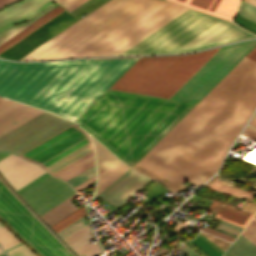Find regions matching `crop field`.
<instances>
[{
    "label": "crop field",
    "instance_id": "obj_32",
    "mask_svg": "<svg viewBox=\"0 0 256 256\" xmlns=\"http://www.w3.org/2000/svg\"><path fill=\"white\" fill-rule=\"evenodd\" d=\"M98 249H100V247L98 246L97 242L93 244L88 242L74 252L77 253L79 256H82V255L90 256L91 254L96 252Z\"/></svg>",
    "mask_w": 256,
    "mask_h": 256
},
{
    "label": "crop field",
    "instance_id": "obj_49",
    "mask_svg": "<svg viewBox=\"0 0 256 256\" xmlns=\"http://www.w3.org/2000/svg\"><path fill=\"white\" fill-rule=\"evenodd\" d=\"M0 226H2V224L0 223Z\"/></svg>",
    "mask_w": 256,
    "mask_h": 256
},
{
    "label": "crop field",
    "instance_id": "obj_25",
    "mask_svg": "<svg viewBox=\"0 0 256 256\" xmlns=\"http://www.w3.org/2000/svg\"><path fill=\"white\" fill-rule=\"evenodd\" d=\"M56 6H58V5L55 4V5L51 6L50 8H48L47 10H45L44 12L37 15L36 17H34L33 19H31L25 23L15 25V26L5 30L4 32L0 33V43H2L3 41H5L9 37H11L18 31H20L21 29L25 28L26 26H28L29 24H31L32 22H34L35 20H37L38 18H40L41 16H43L44 14H46L47 12H49L50 10L55 8Z\"/></svg>",
    "mask_w": 256,
    "mask_h": 256
},
{
    "label": "crop field",
    "instance_id": "obj_12",
    "mask_svg": "<svg viewBox=\"0 0 256 256\" xmlns=\"http://www.w3.org/2000/svg\"><path fill=\"white\" fill-rule=\"evenodd\" d=\"M74 193L67 183L50 176L21 196L40 216Z\"/></svg>",
    "mask_w": 256,
    "mask_h": 256
},
{
    "label": "crop field",
    "instance_id": "obj_43",
    "mask_svg": "<svg viewBox=\"0 0 256 256\" xmlns=\"http://www.w3.org/2000/svg\"><path fill=\"white\" fill-rule=\"evenodd\" d=\"M245 57L256 62V47L253 48Z\"/></svg>",
    "mask_w": 256,
    "mask_h": 256
},
{
    "label": "crop field",
    "instance_id": "obj_46",
    "mask_svg": "<svg viewBox=\"0 0 256 256\" xmlns=\"http://www.w3.org/2000/svg\"><path fill=\"white\" fill-rule=\"evenodd\" d=\"M244 1L256 6V0H244Z\"/></svg>",
    "mask_w": 256,
    "mask_h": 256
},
{
    "label": "crop field",
    "instance_id": "obj_27",
    "mask_svg": "<svg viewBox=\"0 0 256 256\" xmlns=\"http://www.w3.org/2000/svg\"><path fill=\"white\" fill-rule=\"evenodd\" d=\"M20 243V241L12 235L4 226L0 228V244L4 250Z\"/></svg>",
    "mask_w": 256,
    "mask_h": 256
},
{
    "label": "crop field",
    "instance_id": "obj_7",
    "mask_svg": "<svg viewBox=\"0 0 256 256\" xmlns=\"http://www.w3.org/2000/svg\"><path fill=\"white\" fill-rule=\"evenodd\" d=\"M91 152L88 134L72 124L20 156L55 174Z\"/></svg>",
    "mask_w": 256,
    "mask_h": 256
},
{
    "label": "crop field",
    "instance_id": "obj_28",
    "mask_svg": "<svg viewBox=\"0 0 256 256\" xmlns=\"http://www.w3.org/2000/svg\"><path fill=\"white\" fill-rule=\"evenodd\" d=\"M194 245H196L198 248H200L202 251H204L209 256H221L222 254L219 253L216 249H214L211 245H209L206 241H204L201 237L198 235L196 238L192 241Z\"/></svg>",
    "mask_w": 256,
    "mask_h": 256
},
{
    "label": "crop field",
    "instance_id": "obj_34",
    "mask_svg": "<svg viewBox=\"0 0 256 256\" xmlns=\"http://www.w3.org/2000/svg\"><path fill=\"white\" fill-rule=\"evenodd\" d=\"M241 234L256 244V221L251 220Z\"/></svg>",
    "mask_w": 256,
    "mask_h": 256
},
{
    "label": "crop field",
    "instance_id": "obj_21",
    "mask_svg": "<svg viewBox=\"0 0 256 256\" xmlns=\"http://www.w3.org/2000/svg\"><path fill=\"white\" fill-rule=\"evenodd\" d=\"M78 195L77 193L66 199L50 211L46 212L42 216H40L44 221H46L50 226L61 220L71 212L78 209L74 204H72L69 200Z\"/></svg>",
    "mask_w": 256,
    "mask_h": 256
},
{
    "label": "crop field",
    "instance_id": "obj_13",
    "mask_svg": "<svg viewBox=\"0 0 256 256\" xmlns=\"http://www.w3.org/2000/svg\"><path fill=\"white\" fill-rule=\"evenodd\" d=\"M45 172L33 163L26 162L12 154L0 160L1 175L18 190Z\"/></svg>",
    "mask_w": 256,
    "mask_h": 256
},
{
    "label": "crop field",
    "instance_id": "obj_19",
    "mask_svg": "<svg viewBox=\"0 0 256 256\" xmlns=\"http://www.w3.org/2000/svg\"><path fill=\"white\" fill-rule=\"evenodd\" d=\"M62 11H64V10L61 9L59 6L56 7L55 9H53L52 11H50L49 13H47L46 15H44L43 17H41L40 19H38L37 21L32 23L31 25H29L28 27H26L25 29L20 31L19 33H17L16 35H14L10 39H8L7 41L2 43L0 45V52H2L3 50L8 48L15 42H17L18 40H20L27 34L31 33L32 31H34L35 29H37L38 27H40L41 25H43L44 23H46L47 21H49L50 19H52L53 17H55L56 15L61 13Z\"/></svg>",
    "mask_w": 256,
    "mask_h": 256
},
{
    "label": "crop field",
    "instance_id": "obj_14",
    "mask_svg": "<svg viewBox=\"0 0 256 256\" xmlns=\"http://www.w3.org/2000/svg\"><path fill=\"white\" fill-rule=\"evenodd\" d=\"M150 181L151 180L130 170L100 194L99 197L119 208L128 201L126 198L136 194Z\"/></svg>",
    "mask_w": 256,
    "mask_h": 256
},
{
    "label": "crop field",
    "instance_id": "obj_2",
    "mask_svg": "<svg viewBox=\"0 0 256 256\" xmlns=\"http://www.w3.org/2000/svg\"><path fill=\"white\" fill-rule=\"evenodd\" d=\"M138 58L39 63L0 60V95L75 121Z\"/></svg>",
    "mask_w": 256,
    "mask_h": 256
},
{
    "label": "crop field",
    "instance_id": "obj_6",
    "mask_svg": "<svg viewBox=\"0 0 256 256\" xmlns=\"http://www.w3.org/2000/svg\"><path fill=\"white\" fill-rule=\"evenodd\" d=\"M220 48L190 55L141 57L109 89L169 98Z\"/></svg>",
    "mask_w": 256,
    "mask_h": 256
},
{
    "label": "crop field",
    "instance_id": "obj_48",
    "mask_svg": "<svg viewBox=\"0 0 256 256\" xmlns=\"http://www.w3.org/2000/svg\"><path fill=\"white\" fill-rule=\"evenodd\" d=\"M0 256H4V254L0 255Z\"/></svg>",
    "mask_w": 256,
    "mask_h": 256
},
{
    "label": "crop field",
    "instance_id": "obj_20",
    "mask_svg": "<svg viewBox=\"0 0 256 256\" xmlns=\"http://www.w3.org/2000/svg\"><path fill=\"white\" fill-rule=\"evenodd\" d=\"M211 212L217 213L215 217L224 219L228 222L244 228L245 225L250 221V219L255 215L256 210L244 213L229 208H222L214 209Z\"/></svg>",
    "mask_w": 256,
    "mask_h": 256
},
{
    "label": "crop field",
    "instance_id": "obj_24",
    "mask_svg": "<svg viewBox=\"0 0 256 256\" xmlns=\"http://www.w3.org/2000/svg\"><path fill=\"white\" fill-rule=\"evenodd\" d=\"M93 141H94L95 150H96L98 174H99L117 158L113 156L109 151H107L96 140L93 139Z\"/></svg>",
    "mask_w": 256,
    "mask_h": 256
},
{
    "label": "crop field",
    "instance_id": "obj_52",
    "mask_svg": "<svg viewBox=\"0 0 256 256\" xmlns=\"http://www.w3.org/2000/svg\"><path fill=\"white\" fill-rule=\"evenodd\" d=\"M224 256V255H223Z\"/></svg>",
    "mask_w": 256,
    "mask_h": 256
},
{
    "label": "crop field",
    "instance_id": "obj_3",
    "mask_svg": "<svg viewBox=\"0 0 256 256\" xmlns=\"http://www.w3.org/2000/svg\"><path fill=\"white\" fill-rule=\"evenodd\" d=\"M193 105L108 90L76 123L131 167Z\"/></svg>",
    "mask_w": 256,
    "mask_h": 256
},
{
    "label": "crop field",
    "instance_id": "obj_8",
    "mask_svg": "<svg viewBox=\"0 0 256 256\" xmlns=\"http://www.w3.org/2000/svg\"><path fill=\"white\" fill-rule=\"evenodd\" d=\"M255 45L256 40L223 46L170 98L196 103Z\"/></svg>",
    "mask_w": 256,
    "mask_h": 256
},
{
    "label": "crop field",
    "instance_id": "obj_42",
    "mask_svg": "<svg viewBox=\"0 0 256 256\" xmlns=\"http://www.w3.org/2000/svg\"><path fill=\"white\" fill-rule=\"evenodd\" d=\"M95 182V176L91 177L90 179L86 180L85 182L79 184L78 186L74 187L77 191L86 187L87 185Z\"/></svg>",
    "mask_w": 256,
    "mask_h": 256
},
{
    "label": "crop field",
    "instance_id": "obj_16",
    "mask_svg": "<svg viewBox=\"0 0 256 256\" xmlns=\"http://www.w3.org/2000/svg\"><path fill=\"white\" fill-rule=\"evenodd\" d=\"M42 111L10 100L2 103L0 105V136Z\"/></svg>",
    "mask_w": 256,
    "mask_h": 256
},
{
    "label": "crop field",
    "instance_id": "obj_40",
    "mask_svg": "<svg viewBox=\"0 0 256 256\" xmlns=\"http://www.w3.org/2000/svg\"><path fill=\"white\" fill-rule=\"evenodd\" d=\"M178 249L180 251H182L184 254H186L187 256H200L199 254H197L195 251H193L191 248H189L185 244Z\"/></svg>",
    "mask_w": 256,
    "mask_h": 256
},
{
    "label": "crop field",
    "instance_id": "obj_4",
    "mask_svg": "<svg viewBox=\"0 0 256 256\" xmlns=\"http://www.w3.org/2000/svg\"><path fill=\"white\" fill-rule=\"evenodd\" d=\"M165 0H109L22 60L83 57Z\"/></svg>",
    "mask_w": 256,
    "mask_h": 256
},
{
    "label": "crop field",
    "instance_id": "obj_23",
    "mask_svg": "<svg viewBox=\"0 0 256 256\" xmlns=\"http://www.w3.org/2000/svg\"><path fill=\"white\" fill-rule=\"evenodd\" d=\"M94 165V155L93 153L89 154L88 156L82 158L81 160L77 161L76 163L70 165L69 167L65 168L64 170L55 174L64 180H69L72 177L76 176L80 172L84 171L85 169L89 168L90 166Z\"/></svg>",
    "mask_w": 256,
    "mask_h": 256
},
{
    "label": "crop field",
    "instance_id": "obj_31",
    "mask_svg": "<svg viewBox=\"0 0 256 256\" xmlns=\"http://www.w3.org/2000/svg\"><path fill=\"white\" fill-rule=\"evenodd\" d=\"M238 14L256 22V7L246 3L244 1L242 3V7Z\"/></svg>",
    "mask_w": 256,
    "mask_h": 256
},
{
    "label": "crop field",
    "instance_id": "obj_33",
    "mask_svg": "<svg viewBox=\"0 0 256 256\" xmlns=\"http://www.w3.org/2000/svg\"><path fill=\"white\" fill-rule=\"evenodd\" d=\"M8 256H35L30 250H28L23 244L6 251Z\"/></svg>",
    "mask_w": 256,
    "mask_h": 256
},
{
    "label": "crop field",
    "instance_id": "obj_30",
    "mask_svg": "<svg viewBox=\"0 0 256 256\" xmlns=\"http://www.w3.org/2000/svg\"><path fill=\"white\" fill-rule=\"evenodd\" d=\"M95 175V167L92 166L89 169L85 170L81 174L77 175L76 177L72 178L71 180L67 181L73 187L78 185L79 183L83 182L84 180L90 178L91 176Z\"/></svg>",
    "mask_w": 256,
    "mask_h": 256
},
{
    "label": "crop field",
    "instance_id": "obj_22",
    "mask_svg": "<svg viewBox=\"0 0 256 256\" xmlns=\"http://www.w3.org/2000/svg\"><path fill=\"white\" fill-rule=\"evenodd\" d=\"M224 255L256 256V245L240 234Z\"/></svg>",
    "mask_w": 256,
    "mask_h": 256
},
{
    "label": "crop field",
    "instance_id": "obj_39",
    "mask_svg": "<svg viewBox=\"0 0 256 256\" xmlns=\"http://www.w3.org/2000/svg\"><path fill=\"white\" fill-rule=\"evenodd\" d=\"M204 231L209 232V233H212V234L217 235V236H220V237H222V238L228 239V240H230V241H233V239H234V237H232V236L226 235V234H224V233L218 232V231L213 230V229H210V228H208V227H205ZM228 240H227V241H228Z\"/></svg>",
    "mask_w": 256,
    "mask_h": 256
},
{
    "label": "crop field",
    "instance_id": "obj_11",
    "mask_svg": "<svg viewBox=\"0 0 256 256\" xmlns=\"http://www.w3.org/2000/svg\"><path fill=\"white\" fill-rule=\"evenodd\" d=\"M71 124L46 111L0 137V151L19 154Z\"/></svg>",
    "mask_w": 256,
    "mask_h": 256
},
{
    "label": "crop field",
    "instance_id": "obj_1",
    "mask_svg": "<svg viewBox=\"0 0 256 256\" xmlns=\"http://www.w3.org/2000/svg\"><path fill=\"white\" fill-rule=\"evenodd\" d=\"M256 107V63L243 58L137 164L181 185H201Z\"/></svg>",
    "mask_w": 256,
    "mask_h": 256
},
{
    "label": "crop field",
    "instance_id": "obj_45",
    "mask_svg": "<svg viewBox=\"0 0 256 256\" xmlns=\"http://www.w3.org/2000/svg\"><path fill=\"white\" fill-rule=\"evenodd\" d=\"M14 0H0V7Z\"/></svg>",
    "mask_w": 256,
    "mask_h": 256
},
{
    "label": "crop field",
    "instance_id": "obj_35",
    "mask_svg": "<svg viewBox=\"0 0 256 256\" xmlns=\"http://www.w3.org/2000/svg\"><path fill=\"white\" fill-rule=\"evenodd\" d=\"M54 1L69 12L86 0H54Z\"/></svg>",
    "mask_w": 256,
    "mask_h": 256
},
{
    "label": "crop field",
    "instance_id": "obj_15",
    "mask_svg": "<svg viewBox=\"0 0 256 256\" xmlns=\"http://www.w3.org/2000/svg\"><path fill=\"white\" fill-rule=\"evenodd\" d=\"M51 0H22L0 11V31L22 21L29 20L52 4Z\"/></svg>",
    "mask_w": 256,
    "mask_h": 256
},
{
    "label": "crop field",
    "instance_id": "obj_17",
    "mask_svg": "<svg viewBox=\"0 0 256 256\" xmlns=\"http://www.w3.org/2000/svg\"><path fill=\"white\" fill-rule=\"evenodd\" d=\"M194 9L231 20L238 7V0H171Z\"/></svg>",
    "mask_w": 256,
    "mask_h": 256
},
{
    "label": "crop field",
    "instance_id": "obj_36",
    "mask_svg": "<svg viewBox=\"0 0 256 256\" xmlns=\"http://www.w3.org/2000/svg\"><path fill=\"white\" fill-rule=\"evenodd\" d=\"M236 22L240 23L242 26H244L245 28L253 31L256 33V23L240 16V15H237L236 19H235Z\"/></svg>",
    "mask_w": 256,
    "mask_h": 256
},
{
    "label": "crop field",
    "instance_id": "obj_38",
    "mask_svg": "<svg viewBox=\"0 0 256 256\" xmlns=\"http://www.w3.org/2000/svg\"><path fill=\"white\" fill-rule=\"evenodd\" d=\"M91 239H93V238L87 234L86 236L82 237L81 239L77 240L76 242H74L73 244H71L69 246L74 251V250H76L77 248H79L80 246H82L83 244H85L86 242H88Z\"/></svg>",
    "mask_w": 256,
    "mask_h": 256
},
{
    "label": "crop field",
    "instance_id": "obj_9",
    "mask_svg": "<svg viewBox=\"0 0 256 256\" xmlns=\"http://www.w3.org/2000/svg\"><path fill=\"white\" fill-rule=\"evenodd\" d=\"M0 215L44 256H71L1 182Z\"/></svg>",
    "mask_w": 256,
    "mask_h": 256
},
{
    "label": "crop field",
    "instance_id": "obj_29",
    "mask_svg": "<svg viewBox=\"0 0 256 256\" xmlns=\"http://www.w3.org/2000/svg\"><path fill=\"white\" fill-rule=\"evenodd\" d=\"M87 223H89V222L82 217V218H80L79 220H77L73 224L69 225L68 227H66L65 229H63L62 231H60L57 234L63 239L66 236H68L71 233H73L74 231H76L79 228H81L82 226L86 225Z\"/></svg>",
    "mask_w": 256,
    "mask_h": 256
},
{
    "label": "crop field",
    "instance_id": "obj_47",
    "mask_svg": "<svg viewBox=\"0 0 256 256\" xmlns=\"http://www.w3.org/2000/svg\"><path fill=\"white\" fill-rule=\"evenodd\" d=\"M7 99H3V98H0V104L4 101H6Z\"/></svg>",
    "mask_w": 256,
    "mask_h": 256
},
{
    "label": "crop field",
    "instance_id": "obj_5",
    "mask_svg": "<svg viewBox=\"0 0 256 256\" xmlns=\"http://www.w3.org/2000/svg\"><path fill=\"white\" fill-rule=\"evenodd\" d=\"M256 37L234 23L186 9L120 55L190 52Z\"/></svg>",
    "mask_w": 256,
    "mask_h": 256
},
{
    "label": "crop field",
    "instance_id": "obj_50",
    "mask_svg": "<svg viewBox=\"0 0 256 256\" xmlns=\"http://www.w3.org/2000/svg\"><path fill=\"white\" fill-rule=\"evenodd\" d=\"M0 252H2L1 249H0Z\"/></svg>",
    "mask_w": 256,
    "mask_h": 256
},
{
    "label": "crop field",
    "instance_id": "obj_41",
    "mask_svg": "<svg viewBox=\"0 0 256 256\" xmlns=\"http://www.w3.org/2000/svg\"><path fill=\"white\" fill-rule=\"evenodd\" d=\"M243 135L256 139V129L247 126V128L243 132Z\"/></svg>",
    "mask_w": 256,
    "mask_h": 256
},
{
    "label": "crop field",
    "instance_id": "obj_37",
    "mask_svg": "<svg viewBox=\"0 0 256 256\" xmlns=\"http://www.w3.org/2000/svg\"><path fill=\"white\" fill-rule=\"evenodd\" d=\"M218 227H221L223 229H226V230H229V231H232L234 233H237L239 234L240 231L242 230V228L238 227V226H235L231 223H228L224 220H222V222L218 225Z\"/></svg>",
    "mask_w": 256,
    "mask_h": 256
},
{
    "label": "crop field",
    "instance_id": "obj_51",
    "mask_svg": "<svg viewBox=\"0 0 256 256\" xmlns=\"http://www.w3.org/2000/svg\"><path fill=\"white\" fill-rule=\"evenodd\" d=\"M256 216V215H255ZM255 219H256V217H255Z\"/></svg>",
    "mask_w": 256,
    "mask_h": 256
},
{
    "label": "crop field",
    "instance_id": "obj_10",
    "mask_svg": "<svg viewBox=\"0 0 256 256\" xmlns=\"http://www.w3.org/2000/svg\"><path fill=\"white\" fill-rule=\"evenodd\" d=\"M186 8L167 1L85 57L118 55Z\"/></svg>",
    "mask_w": 256,
    "mask_h": 256
},
{
    "label": "crop field",
    "instance_id": "obj_18",
    "mask_svg": "<svg viewBox=\"0 0 256 256\" xmlns=\"http://www.w3.org/2000/svg\"><path fill=\"white\" fill-rule=\"evenodd\" d=\"M128 169L118 159L113 162L108 168L98 175V185L95 196L98 195L104 188L116 180L123 172ZM94 196V197H95Z\"/></svg>",
    "mask_w": 256,
    "mask_h": 256
},
{
    "label": "crop field",
    "instance_id": "obj_44",
    "mask_svg": "<svg viewBox=\"0 0 256 256\" xmlns=\"http://www.w3.org/2000/svg\"><path fill=\"white\" fill-rule=\"evenodd\" d=\"M249 126L256 128V115L252 119V121L249 123Z\"/></svg>",
    "mask_w": 256,
    "mask_h": 256
},
{
    "label": "crop field",
    "instance_id": "obj_26",
    "mask_svg": "<svg viewBox=\"0 0 256 256\" xmlns=\"http://www.w3.org/2000/svg\"><path fill=\"white\" fill-rule=\"evenodd\" d=\"M84 214H86V212L83 206L51 227L57 233L66 226H68L69 224H71L72 222H74L75 220H77L78 218H80L81 216H83Z\"/></svg>",
    "mask_w": 256,
    "mask_h": 256
}]
</instances>
